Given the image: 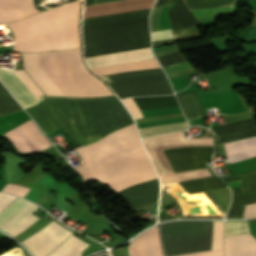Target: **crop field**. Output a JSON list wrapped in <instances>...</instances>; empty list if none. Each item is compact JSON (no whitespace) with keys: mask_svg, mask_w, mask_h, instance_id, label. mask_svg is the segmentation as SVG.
Here are the masks:
<instances>
[{"mask_svg":"<svg viewBox=\"0 0 256 256\" xmlns=\"http://www.w3.org/2000/svg\"><path fill=\"white\" fill-rule=\"evenodd\" d=\"M24 68L46 96L103 97L112 92L90 74L81 59V48L43 53H22ZM25 71L0 69V80L27 108L45 96Z\"/></svg>","mask_w":256,"mask_h":256,"instance_id":"obj_1","label":"crop field"},{"mask_svg":"<svg viewBox=\"0 0 256 256\" xmlns=\"http://www.w3.org/2000/svg\"><path fill=\"white\" fill-rule=\"evenodd\" d=\"M72 99L94 125L101 138L116 129L134 123L115 96ZM72 99L42 97L40 104L58 126L81 145L100 139L95 128ZM40 104L26 110L46 134L60 129Z\"/></svg>","mask_w":256,"mask_h":256,"instance_id":"obj_2","label":"crop field"},{"mask_svg":"<svg viewBox=\"0 0 256 256\" xmlns=\"http://www.w3.org/2000/svg\"><path fill=\"white\" fill-rule=\"evenodd\" d=\"M139 143L140 139L134 124H132L107 135L98 142L75 150L81 156L83 163H85ZM76 170L85 183L98 178L110 185L125 178L153 170V167L143 147L139 144L82 164L76 167ZM156 177L153 170L112 184L110 187L117 192L125 187Z\"/></svg>","mask_w":256,"mask_h":256,"instance_id":"obj_3","label":"crop field"},{"mask_svg":"<svg viewBox=\"0 0 256 256\" xmlns=\"http://www.w3.org/2000/svg\"><path fill=\"white\" fill-rule=\"evenodd\" d=\"M78 1L49 9L32 17L4 25L13 35L15 51L59 50L81 47Z\"/></svg>","mask_w":256,"mask_h":256,"instance_id":"obj_4","label":"crop field"},{"mask_svg":"<svg viewBox=\"0 0 256 256\" xmlns=\"http://www.w3.org/2000/svg\"><path fill=\"white\" fill-rule=\"evenodd\" d=\"M166 256L211 250L213 221H178L160 225ZM181 256H223L222 250Z\"/></svg>","mask_w":256,"mask_h":256,"instance_id":"obj_5","label":"crop field"},{"mask_svg":"<svg viewBox=\"0 0 256 256\" xmlns=\"http://www.w3.org/2000/svg\"><path fill=\"white\" fill-rule=\"evenodd\" d=\"M101 78L121 99L132 96L173 93L161 68L105 75Z\"/></svg>","mask_w":256,"mask_h":256,"instance_id":"obj_6","label":"crop field"},{"mask_svg":"<svg viewBox=\"0 0 256 256\" xmlns=\"http://www.w3.org/2000/svg\"><path fill=\"white\" fill-rule=\"evenodd\" d=\"M147 152L181 146L213 145V137L185 138L183 132L150 137L142 140ZM161 180L176 177L162 150L148 153Z\"/></svg>","mask_w":256,"mask_h":256,"instance_id":"obj_7","label":"crop field"},{"mask_svg":"<svg viewBox=\"0 0 256 256\" xmlns=\"http://www.w3.org/2000/svg\"><path fill=\"white\" fill-rule=\"evenodd\" d=\"M71 234L72 232L52 220L31 237L20 243L34 256H46Z\"/></svg>","mask_w":256,"mask_h":256,"instance_id":"obj_8","label":"crop field"},{"mask_svg":"<svg viewBox=\"0 0 256 256\" xmlns=\"http://www.w3.org/2000/svg\"><path fill=\"white\" fill-rule=\"evenodd\" d=\"M174 172L203 169L206 167L208 155L212 154V146L181 147L163 150Z\"/></svg>","mask_w":256,"mask_h":256,"instance_id":"obj_9","label":"crop field"},{"mask_svg":"<svg viewBox=\"0 0 256 256\" xmlns=\"http://www.w3.org/2000/svg\"><path fill=\"white\" fill-rule=\"evenodd\" d=\"M241 179V188H233L232 203L226 218H242L245 205L256 203V170L240 177L225 180L231 182Z\"/></svg>","mask_w":256,"mask_h":256,"instance_id":"obj_10","label":"crop field"},{"mask_svg":"<svg viewBox=\"0 0 256 256\" xmlns=\"http://www.w3.org/2000/svg\"><path fill=\"white\" fill-rule=\"evenodd\" d=\"M18 148L19 151L38 152L51 147L50 143L30 120L4 133Z\"/></svg>","mask_w":256,"mask_h":256,"instance_id":"obj_11","label":"crop field"},{"mask_svg":"<svg viewBox=\"0 0 256 256\" xmlns=\"http://www.w3.org/2000/svg\"><path fill=\"white\" fill-rule=\"evenodd\" d=\"M118 194L132 210L154 203L159 194L158 178L128 187Z\"/></svg>","mask_w":256,"mask_h":256,"instance_id":"obj_12","label":"crop field"},{"mask_svg":"<svg viewBox=\"0 0 256 256\" xmlns=\"http://www.w3.org/2000/svg\"><path fill=\"white\" fill-rule=\"evenodd\" d=\"M155 0H122L84 7V16L94 17L151 8Z\"/></svg>","mask_w":256,"mask_h":256,"instance_id":"obj_13","label":"crop field"},{"mask_svg":"<svg viewBox=\"0 0 256 256\" xmlns=\"http://www.w3.org/2000/svg\"><path fill=\"white\" fill-rule=\"evenodd\" d=\"M151 58H154V56L150 50V47H147V48L87 57L85 58V60L89 69H91V68L100 67V66L127 63V62L143 60V59H151Z\"/></svg>","mask_w":256,"mask_h":256,"instance_id":"obj_14","label":"crop field"},{"mask_svg":"<svg viewBox=\"0 0 256 256\" xmlns=\"http://www.w3.org/2000/svg\"><path fill=\"white\" fill-rule=\"evenodd\" d=\"M38 206L17 198L0 212V228L10 231L13 227L28 217Z\"/></svg>","mask_w":256,"mask_h":256,"instance_id":"obj_15","label":"crop field"},{"mask_svg":"<svg viewBox=\"0 0 256 256\" xmlns=\"http://www.w3.org/2000/svg\"><path fill=\"white\" fill-rule=\"evenodd\" d=\"M129 256H163L158 227L145 232L128 246Z\"/></svg>","mask_w":256,"mask_h":256,"instance_id":"obj_16","label":"crop field"},{"mask_svg":"<svg viewBox=\"0 0 256 256\" xmlns=\"http://www.w3.org/2000/svg\"><path fill=\"white\" fill-rule=\"evenodd\" d=\"M37 12L33 0H0V22L7 23Z\"/></svg>","mask_w":256,"mask_h":256,"instance_id":"obj_17","label":"crop field"},{"mask_svg":"<svg viewBox=\"0 0 256 256\" xmlns=\"http://www.w3.org/2000/svg\"><path fill=\"white\" fill-rule=\"evenodd\" d=\"M225 256H256V240L250 235L224 238Z\"/></svg>","mask_w":256,"mask_h":256,"instance_id":"obj_18","label":"crop field"},{"mask_svg":"<svg viewBox=\"0 0 256 256\" xmlns=\"http://www.w3.org/2000/svg\"><path fill=\"white\" fill-rule=\"evenodd\" d=\"M229 162H236L256 156V137L223 144Z\"/></svg>","mask_w":256,"mask_h":256,"instance_id":"obj_19","label":"crop field"},{"mask_svg":"<svg viewBox=\"0 0 256 256\" xmlns=\"http://www.w3.org/2000/svg\"><path fill=\"white\" fill-rule=\"evenodd\" d=\"M187 119L203 115V110L198 95L194 92L176 94Z\"/></svg>","mask_w":256,"mask_h":256,"instance_id":"obj_20","label":"crop field"},{"mask_svg":"<svg viewBox=\"0 0 256 256\" xmlns=\"http://www.w3.org/2000/svg\"><path fill=\"white\" fill-rule=\"evenodd\" d=\"M155 67H159V65L156 59H151V60L121 64V65L95 68V69H91V71L96 75L101 76V75L111 74V73H118V72H124V71L135 70V69L155 68Z\"/></svg>","mask_w":256,"mask_h":256,"instance_id":"obj_21","label":"crop field"},{"mask_svg":"<svg viewBox=\"0 0 256 256\" xmlns=\"http://www.w3.org/2000/svg\"><path fill=\"white\" fill-rule=\"evenodd\" d=\"M181 184L191 193L202 192L206 190L220 189L225 186L222 182L215 176H210L206 178L193 179L182 181Z\"/></svg>","mask_w":256,"mask_h":256,"instance_id":"obj_22","label":"crop field"},{"mask_svg":"<svg viewBox=\"0 0 256 256\" xmlns=\"http://www.w3.org/2000/svg\"><path fill=\"white\" fill-rule=\"evenodd\" d=\"M88 245L72 235L48 256H80L81 251Z\"/></svg>","mask_w":256,"mask_h":256,"instance_id":"obj_23","label":"crop field"},{"mask_svg":"<svg viewBox=\"0 0 256 256\" xmlns=\"http://www.w3.org/2000/svg\"><path fill=\"white\" fill-rule=\"evenodd\" d=\"M22 110L21 106L0 83V115Z\"/></svg>","mask_w":256,"mask_h":256,"instance_id":"obj_24","label":"crop field"},{"mask_svg":"<svg viewBox=\"0 0 256 256\" xmlns=\"http://www.w3.org/2000/svg\"><path fill=\"white\" fill-rule=\"evenodd\" d=\"M188 128L186 122L139 129L140 136L146 137L164 132L182 131Z\"/></svg>","mask_w":256,"mask_h":256,"instance_id":"obj_25","label":"crop field"},{"mask_svg":"<svg viewBox=\"0 0 256 256\" xmlns=\"http://www.w3.org/2000/svg\"><path fill=\"white\" fill-rule=\"evenodd\" d=\"M249 233L247 221L225 222L224 236H232Z\"/></svg>","mask_w":256,"mask_h":256,"instance_id":"obj_26","label":"crop field"},{"mask_svg":"<svg viewBox=\"0 0 256 256\" xmlns=\"http://www.w3.org/2000/svg\"><path fill=\"white\" fill-rule=\"evenodd\" d=\"M173 34H174V38L160 40V41H154V42H152L153 46H158V45H161V44H166V43L173 42V41L180 40V39H186V38H192V37L201 36L196 28L187 29V30H181V31H175V32H173Z\"/></svg>","mask_w":256,"mask_h":256,"instance_id":"obj_27","label":"crop field"},{"mask_svg":"<svg viewBox=\"0 0 256 256\" xmlns=\"http://www.w3.org/2000/svg\"><path fill=\"white\" fill-rule=\"evenodd\" d=\"M223 222L214 221L212 250L222 249Z\"/></svg>","mask_w":256,"mask_h":256,"instance_id":"obj_28","label":"crop field"},{"mask_svg":"<svg viewBox=\"0 0 256 256\" xmlns=\"http://www.w3.org/2000/svg\"><path fill=\"white\" fill-rule=\"evenodd\" d=\"M179 181L212 175L207 169L176 173Z\"/></svg>","mask_w":256,"mask_h":256,"instance_id":"obj_29","label":"crop field"},{"mask_svg":"<svg viewBox=\"0 0 256 256\" xmlns=\"http://www.w3.org/2000/svg\"><path fill=\"white\" fill-rule=\"evenodd\" d=\"M29 190L30 188L25 186L8 183L2 191L23 197Z\"/></svg>","mask_w":256,"mask_h":256,"instance_id":"obj_30","label":"crop field"},{"mask_svg":"<svg viewBox=\"0 0 256 256\" xmlns=\"http://www.w3.org/2000/svg\"><path fill=\"white\" fill-rule=\"evenodd\" d=\"M36 219L38 218L35 217L34 215H30L21 224H19L17 227L12 229L9 232V234H11L13 237L18 235L21 231H23L25 228L29 227L32 223H34Z\"/></svg>","mask_w":256,"mask_h":256,"instance_id":"obj_31","label":"crop field"},{"mask_svg":"<svg viewBox=\"0 0 256 256\" xmlns=\"http://www.w3.org/2000/svg\"><path fill=\"white\" fill-rule=\"evenodd\" d=\"M125 105L128 107L129 111L133 115L134 119L143 117L138 106L134 102L133 98L123 100Z\"/></svg>","mask_w":256,"mask_h":256,"instance_id":"obj_32","label":"crop field"},{"mask_svg":"<svg viewBox=\"0 0 256 256\" xmlns=\"http://www.w3.org/2000/svg\"><path fill=\"white\" fill-rule=\"evenodd\" d=\"M171 31L172 29L169 28L151 32L152 41L173 37Z\"/></svg>","mask_w":256,"mask_h":256,"instance_id":"obj_33","label":"crop field"},{"mask_svg":"<svg viewBox=\"0 0 256 256\" xmlns=\"http://www.w3.org/2000/svg\"><path fill=\"white\" fill-rule=\"evenodd\" d=\"M15 199L16 197L0 193V211Z\"/></svg>","mask_w":256,"mask_h":256,"instance_id":"obj_34","label":"crop field"},{"mask_svg":"<svg viewBox=\"0 0 256 256\" xmlns=\"http://www.w3.org/2000/svg\"><path fill=\"white\" fill-rule=\"evenodd\" d=\"M256 217V204L246 206L243 218Z\"/></svg>","mask_w":256,"mask_h":256,"instance_id":"obj_35","label":"crop field"}]
</instances>
